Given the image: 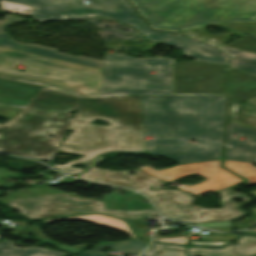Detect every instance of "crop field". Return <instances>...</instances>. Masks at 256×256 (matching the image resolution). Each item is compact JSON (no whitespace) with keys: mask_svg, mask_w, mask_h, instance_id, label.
<instances>
[{"mask_svg":"<svg viewBox=\"0 0 256 256\" xmlns=\"http://www.w3.org/2000/svg\"><path fill=\"white\" fill-rule=\"evenodd\" d=\"M141 98L148 154L180 164L221 159L226 96Z\"/></svg>","mask_w":256,"mask_h":256,"instance_id":"crop-field-1","label":"crop field"},{"mask_svg":"<svg viewBox=\"0 0 256 256\" xmlns=\"http://www.w3.org/2000/svg\"><path fill=\"white\" fill-rule=\"evenodd\" d=\"M96 118L111 124L109 127L89 124ZM68 130L74 132L62 141L58 151L84 156L64 166L57 164L53 167L71 175L83 171L71 166L86 164L97 154L109 150L141 151L144 148L138 97L82 100Z\"/></svg>","mask_w":256,"mask_h":256,"instance_id":"crop-field-2","label":"crop field"},{"mask_svg":"<svg viewBox=\"0 0 256 256\" xmlns=\"http://www.w3.org/2000/svg\"><path fill=\"white\" fill-rule=\"evenodd\" d=\"M78 101L44 88L0 135V151L52 159L72 119L68 113L76 109ZM47 134L54 135L55 139L48 138Z\"/></svg>","mask_w":256,"mask_h":256,"instance_id":"crop-field-3","label":"crop field"},{"mask_svg":"<svg viewBox=\"0 0 256 256\" xmlns=\"http://www.w3.org/2000/svg\"><path fill=\"white\" fill-rule=\"evenodd\" d=\"M104 158H99L90 165V171L82 175L81 179L97 184L130 187L140 192H143L149 196L158 210L168 218L178 220L185 223H203V222H216V221H229L235 217L244 215L238 211L239 206L249 204L250 201L246 194L235 193L227 188L218 190L221 193V203L223 207L221 209H202L192 203L194 197L182 192L174 191L172 189H164L157 191H149L148 187L152 186L155 189L159 188L164 182L157 180L139 170L135 171V176H129V171H110L105 169L94 168L96 162L101 161ZM96 172H92V171ZM125 177L126 179H122ZM131 179L130 182L126 181ZM140 182H144L140 184ZM235 198H241L245 202L238 204L232 200ZM204 213L205 215H200Z\"/></svg>","mask_w":256,"mask_h":256,"instance_id":"crop-field-4","label":"crop field"},{"mask_svg":"<svg viewBox=\"0 0 256 256\" xmlns=\"http://www.w3.org/2000/svg\"><path fill=\"white\" fill-rule=\"evenodd\" d=\"M73 182L78 181L70 178L61 183L68 184ZM29 193H32V195H29ZM6 194H8V197H4L0 202L19 210L21 214L32 220L52 216L91 213H104L124 219H139L156 214V211L150 203H142V200L146 199V197L130 190L126 191L124 197L117 194L107 195L103 197L102 201L82 199L71 194L44 187H34L22 192H6ZM29 196H31V198H29ZM60 197L62 198L60 199ZM133 197H135V200H132ZM111 199L116 201H111ZM127 199H129V201H127ZM138 199H140V201ZM44 200H47V202H44ZM52 200L55 201L53 202ZM43 204H45V206H43ZM110 205H113V207H110ZM122 205H125V207H122ZM43 207L46 208L43 209ZM105 207H109V209L107 210ZM27 213L29 215H26ZM136 213L140 215L136 216Z\"/></svg>","mask_w":256,"mask_h":256,"instance_id":"crop-field-5","label":"crop field"},{"mask_svg":"<svg viewBox=\"0 0 256 256\" xmlns=\"http://www.w3.org/2000/svg\"><path fill=\"white\" fill-rule=\"evenodd\" d=\"M23 64L24 72L13 69ZM99 69L0 48V78L40 84L79 98L98 97ZM38 74H34V73Z\"/></svg>","mask_w":256,"mask_h":256,"instance_id":"crop-field-6","label":"crop field"},{"mask_svg":"<svg viewBox=\"0 0 256 256\" xmlns=\"http://www.w3.org/2000/svg\"><path fill=\"white\" fill-rule=\"evenodd\" d=\"M151 71H155V75H151ZM172 79L173 58L136 59L121 54L105 55L99 97L172 95Z\"/></svg>","mask_w":256,"mask_h":256,"instance_id":"crop-field-7","label":"crop field"},{"mask_svg":"<svg viewBox=\"0 0 256 256\" xmlns=\"http://www.w3.org/2000/svg\"><path fill=\"white\" fill-rule=\"evenodd\" d=\"M32 7L31 17L40 22L106 16L135 27L145 38L161 42L170 33L150 30L126 0H6Z\"/></svg>","mask_w":256,"mask_h":256,"instance_id":"crop-field-8","label":"crop field"},{"mask_svg":"<svg viewBox=\"0 0 256 256\" xmlns=\"http://www.w3.org/2000/svg\"><path fill=\"white\" fill-rule=\"evenodd\" d=\"M153 28L178 31L212 0H132Z\"/></svg>","mask_w":256,"mask_h":256,"instance_id":"crop-field-9","label":"crop field"},{"mask_svg":"<svg viewBox=\"0 0 256 256\" xmlns=\"http://www.w3.org/2000/svg\"><path fill=\"white\" fill-rule=\"evenodd\" d=\"M220 163L221 160H214L184 164L162 171H154L151 167H144L140 168L139 170L166 182H170L191 173H198L206 177L207 181L194 187L184 185L176 186L182 191H187L198 195L209 190L215 191L243 181L222 170L220 168Z\"/></svg>","mask_w":256,"mask_h":256,"instance_id":"crop-field-10","label":"crop field"},{"mask_svg":"<svg viewBox=\"0 0 256 256\" xmlns=\"http://www.w3.org/2000/svg\"><path fill=\"white\" fill-rule=\"evenodd\" d=\"M247 20H256V0H213L181 29L215 22Z\"/></svg>","mask_w":256,"mask_h":256,"instance_id":"crop-field-11","label":"crop field"},{"mask_svg":"<svg viewBox=\"0 0 256 256\" xmlns=\"http://www.w3.org/2000/svg\"><path fill=\"white\" fill-rule=\"evenodd\" d=\"M243 236V235H242ZM186 247L153 244L142 256H185ZM157 250L161 254H155ZM256 253V237L243 236L236 245L224 247L220 250L188 247V256H252Z\"/></svg>","mask_w":256,"mask_h":256,"instance_id":"crop-field-12","label":"crop field"},{"mask_svg":"<svg viewBox=\"0 0 256 256\" xmlns=\"http://www.w3.org/2000/svg\"><path fill=\"white\" fill-rule=\"evenodd\" d=\"M20 20H24V19L6 15L5 20L0 21V46L17 49L21 51H26V52H30V53H34L42 56L72 61V62H76V63H80V64H84V65H88L96 68H102L103 61L85 58L81 56L73 57V56L58 53L57 49L47 48V47L33 45V44L19 43L13 40L8 35V33H5L2 31L3 28Z\"/></svg>","mask_w":256,"mask_h":256,"instance_id":"crop-field-13","label":"crop field"},{"mask_svg":"<svg viewBox=\"0 0 256 256\" xmlns=\"http://www.w3.org/2000/svg\"><path fill=\"white\" fill-rule=\"evenodd\" d=\"M239 133V138L233 139L232 134ZM256 159V130L228 123L226 160L254 162Z\"/></svg>","mask_w":256,"mask_h":256,"instance_id":"crop-field-14","label":"crop field"},{"mask_svg":"<svg viewBox=\"0 0 256 256\" xmlns=\"http://www.w3.org/2000/svg\"><path fill=\"white\" fill-rule=\"evenodd\" d=\"M162 43L183 49L185 56L196 61L227 64L229 60L228 56L219 50L177 34L167 38Z\"/></svg>","mask_w":256,"mask_h":256,"instance_id":"crop-field-15","label":"crop field"},{"mask_svg":"<svg viewBox=\"0 0 256 256\" xmlns=\"http://www.w3.org/2000/svg\"><path fill=\"white\" fill-rule=\"evenodd\" d=\"M226 30H228L230 33L227 35H221V34H210L207 31L204 30L205 27L188 30L183 32V34H186L188 36L197 38L199 40L208 42L213 45L223 44L227 42V39L230 34L234 33L238 36L243 37L247 33H252L256 35V22L252 23H231V24H224L219 25Z\"/></svg>","mask_w":256,"mask_h":256,"instance_id":"crop-field-16","label":"crop field"},{"mask_svg":"<svg viewBox=\"0 0 256 256\" xmlns=\"http://www.w3.org/2000/svg\"><path fill=\"white\" fill-rule=\"evenodd\" d=\"M228 122L256 129V106L231 101Z\"/></svg>","mask_w":256,"mask_h":256,"instance_id":"crop-field-17","label":"crop field"},{"mask_svg":"<svg viewBox=\"0 0 256 256\" xmlns=\"http://www.w3.org/2000/svg\"><path fill=\"white\" fill-rule=\"evenodd\" d=\"M41 244L36 243V246ZM19 248L14 247L13 242H0V256H72L67 253H58L39 248Z\"/></svg>","mask_w":256,"mask_h":256,"instance_id":"crop-field-18","label":"crop field"},{"mask_svg":"<svg viewBox=\"0 0 256 256\" xmlns=\"http://www.w3.org/2000/svg\"><path fill=\"white\" fill-rule=\"evenodd\" d=\"M65 219H75V220H84L116 229H120L128 233L132 239H136V236L133 234V232L129 229V227L126 225L124 221L113 219L110 217H106L103 215H93V216H81V217H68V218H54V219H45L43 221H40L42 223L48 224L54 221L58 220H65ZM150 243V242H147Z\"/></svg>","mask_w":256,"mask_h":256,"instance_id":"crop-field-19","label":"crop field"},{"mask_svg":"<svg viewBox=\"0 0 256 256\" xmlns=\"http://www.w3.org/2000/svg\"><path fill=\"white\" fill-rule=\"evenodd\" d=\"M234 57L232 67L256 76V54L243 52L229 47H220Z\"/></svg>","mask_w":256,"mask_h":256,"instance_id":"crop-field-20","label":"crop field"},{"mask_svg":"<svg viewBox=\"0 0 256 256\" xmlns=\"http://www.w3.org/2000/svg\"><path fill=\"white\" fill-rule=\"evenodd\" d=\"M146 246L147 243L135 241V240H128L121 243H114V244H105L95 246L90 251L82 252L78 254V256H106V254L99 252L101 248L104 247H112L114 250L130 252L134 254L140 253Z\"/></svg>","mask_w":256,"mask_h":256,"instance_id":"crop-field-21","label":"crop field"},{"mask_svg":"<svg viewBox=\"0 0 256 256\" xmlns=\"http://www.w3.org/2000/svg\"><path fill=\"white\" fill-rule=\"evenodd\" d=\"M30 232H33V234L35 235L37 240L52 244L53 246H55L56 248H58L62 251H66V252H70V253H74V254H76L79 251H81L82 249L90 246V245H80V246L74 245L71 247V246H66V245L57 243V242L52 241L46 237H43L42 233L37 225L31 226V231H13L12 236H19L21 238H24V240H22L21 242H26V240L29 239L28 234Z\"/></svg>","mask_w":256,"mask_h":256,"instance_id":"crop-field-22","label":"crop field"},{"mask_svg":"<svg viewBox=\"0 0 256 256\" xmlns=\"http://www.w3.org/2000/svg\"><path fill=\"white\" fill-rule=\"evenodd\" d=\"M253 163L230 162L226 161L225 168L244 176L249 179L248 184L256 183V168L252 167Z\"/></svg>","mask_w":256,"mask_h":256,"instance_id":"crop-field-23","label":"crop field"},{"mask_svg":"<svg viewBox=\"0 0 256 256\" xmlns=\"http://www.w3.org/2000/svg\"><path fill=\"white\" fill-rule=\"evenodd\" d=\"M238 235L235 234H220L210 232L208 235L203 236L200 242L190 241V245H209V246H221L229 240L236 239Z\"/></svg>","mask_w":256,"mask_h":256,"instance_id":"crop-field-24","label":"crop field"},{"mask_svg":"<svg viewBox=\"0 0 256 256\" xmlns=\"http://www.w3.org/2000/svg\"><path fill=\"white\" fill-rule=\"evenodd\" d=\"M0 2H1V8L4 11L30 16L31 8H29V7H25V6H21V5L1 1V0H0ZM13 8L18 9V10H13ZM23 10H28L29 13L23 12Z\"/></svg>","mask_w":256,"mask_h":256,"instance_id":"crop-field-25","label":"crop field"},{"mask_svg":"<svg viewBox=\"0 0 256 256\" xmlns=\"http://www.w3.org/2000/svg\"><path fill=\"white\" fill-rule=\"evenodd\" d=\"M195 226L204 227L212 230L218 231H229L230 223L229 222H219V223H204V224H196Z\"/></svg>","mask_w":256,"mask_h":256,"instance_id":"crop-field-26","label":"crop field"},{"mask_svg":"<svg viewBox=\"0 0 256 256\" xmlns=\"http://www.w3.org/2000/svg\"><path fill=\"white\" fill-rule=\"evenodd\" d=\"M2 175H4V177H13L18 179V177L21 176L22 173H12L7 170L0 169V177H2ZM17 183H23V182H21L20 180L18 182H13V183H4L3 181H0V186L2 188H14L15 186L13 184H17Z\"/></svg>","mask_w":256,"mask_h":256,"instance_id":"crop-field-27","label":"crop field"},{"mask_svg":"<svg viewBox=\"0 0 256 256\" xmlns=\"http://www.w3.org/2000/svg\"><path fill=\"white\" fill-rule=\"evenodd\" d=\"M188 236L186 237H175V238H163L156 240L158 242H165L171 244H178V245H186L187 244Z\"/></svg>","mask_w":256,"mask_h":256,"instance_id":"crop-field-28","label":"crop field"},{"mask_svg":"<svg viewBox=\"0 0 256 256\" xmlns=\"http://www.w3.org/2000/svg\"><path fill=\"white\" fill-rule=\"evenodd\" d=\"M127 221L129 222V224H130L131 227H132V225H133L134 223H138V222L141 223L142 219H140V220H127ZM132 228H133V227H132ZM133 229H134V228H133ZM134 231H135L136 234L139 236V238L150 241V238H149V237H147V236H146L145 238L142 237V235H143L142 231L137 230V229H134ZM143 236H144V235H143Z\"/></svg>","mask_w":256,"mask_h":256,"instance_id":"crop-field-29","label":"crop field"},{"mask_svg":"<svg viewBox=\"0 0 256 256\" xmlns=\"http://www.w3.org/2000/svg\"><path fill=\"white\" fill-rule=\"evenodd\" d=\"M12 121H9L6 125H0V134L3 133L10 125Z\"/></svg>","mask_w":256,"mask_h":256,"instance_id":"crop-field-30","label":"crop field"},{"mask_svg":"<svg viewBox=\"0 0 256 256\" xmlns=\"http://www.w3.org/2000/svg\"><path fill=\"white\" fill-rule=\"evenodd\" d=\"M246 103L256 105V98L248 100Z\"/></svg>","mask_w":256,"mask_h":256,"instance_id":"crop-field-31","label":"crop field"},{"mask_svg":"<svg viewBox=\"0 0 256 256\" xmlns=\"http://www.w3.org/2000/svg\"><path fill=\"white\" fill-rule=\"evenodd\" d=\"M253 193L255 194L256 196V191H253ZM253 212L256 213V208H252Z\"/></svg>","mask_w":256,"mask_h":256,"instance_id":"crop-field-32","label":"crop field"},{"mask_svg":"<svg viewBox=\"0 0 256 256\" xmlns=\"http://www.w3.org/2000/svg\"><path fill=\"white\" fill-rule=\"evenodd\" d=\"M254 256H256V254Z\"/></svg>","mask_w":256,"mask_h":256,"instance_id":"crop-field-33","label":"crop field"}]
</instances>
